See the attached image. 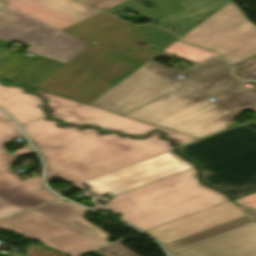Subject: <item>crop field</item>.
Here are the masks:
<instances>
[{"label": "crop field", "instance_id": "16", "mask_svg": "<svg viewBox=\"0 0 256 256\" xmlns=\"http://www.w3.org/2000/svg\"><path fill=\"white\" fill-rule=\"evenodd\" d=\"M65 201L58 200L29 212L64 227L98 245L104 246L110 243L108 241L109 235L85 220L84 214L89 210Z\"/></svg>", "mask_w": 256, "mask_h": 256}, {"label": "crop field", "instance_id": "10", "mask_svg": "<svg viewBox=\"0 0 256 256\" xmlns=\"http://www.w3.org/2000/svg\"><path fill=\"white\" fill-rule=\"evenodd\" d=\"M191 168H194L192 163L170 152L85 183L92 187L88 190L97 194L111 192L118 195Z\"/></svg>", "mask_w": 256, "mask_h": 256}, {"label": "crop field", "instance_id": "1", "mask_svg": "<svg viewBox=\"0 0 256 256\" xmlns=\"http://www.w3.org/2000/svg\"><path fill=\"white\" fill-rule=\"evenodd\" d=\"M40 101L22 88L0 84V107L22 125L44 156L48 181L58 177L74 185L172 148L169 141L157 138L162 135L159 132L141 141L121 138L116 133L97 134V129L57 128L58 121L44 120L48 116L36 104Z\"/></svg>", "mask_w": 256, "mask_h": 256}, {"label": "crop field", "instance_id": "13", "mask_svg": "<svg viewBox=\"0 0 256 256\" xmlns=\"http://www.w3.org/2000/svg\"><path fill=\"white\" fill-rule=\"evenodd\" d=\"M243 216L246 214L241 208L229 201L146 232L161 242L170 244Z\"/></svg>", "mask_w": 256, "mask_h": 256}, {"label": "crop field", "instance_id": "20", "mask_svg": "<svg viewBox=\"0 0 256 256\" xmlns=\"http://www.w3.org/2000/svg\"><path fill=\"white\" fill-rule=\"evenodd\" d=\"M151 3L155 4L157 8L147 9L140 4H135L132 6L131 10L151 19L156 22L160 17L167 16L170 13L183 9L175 0H149Z\"/></svg>", "mask_w": 256, "mask_h": 256}, {"label": "crop field", "instance_id": "21", "mask_svg": "<svg viewBox=\"0 0 256 256\" xmlns=\"http://www.w3.org/2000/svg\"><path fill=\"white\" fill-rule=\"evenodd\" d=\"M164 52H167L169 54H176L179 57H183L196 62L206 60L216 55L213 52L205 51L179 41L175 42L173 45L167 48Z\"/></svg>", "mask_w": 256, "mask_h": 256}, {"label": "crop field", "instance_id": "33", "mask_svg": "<svg viewBox=\"0 0 256 256\" xmlns=\"http://www.w3.org/2000/svg\"><path fill=\"white\" fill-rule=\"evenodd\" d=\"M236 125H239V123L235 121L230 127L236 126Z\"/></svg>", "mask_w": 256, "mask_h": 256}, {"label": "crop field", "instance_id": "35", "mask_svg": "<svg viewBox=\"0 0 256 256\" xmlns=\"http://www.w3.org/2000/svg\"><path fill=\"white\" fill-rule=\"evenodd\" d=\"M14 156V155H13ZM15 157V156H14ZM17 158V157H16Z\"/></svg>", "mask_w": 256, "mask_h": 256}, {"label": "crop field", "instance_id": "5", "mask_svg": "<svg viewBox=\"0 0 256 256\" xmlns=\"http://www.w3.org/2000/svg\"><path fill=\"white\" fill-rule=\"evenodd\" d=\"M201 165L203 180L236 198L256 191V129L247 125L179 149Z\"/></svg>", "mask_w": 256, "mask_h": 256}, {"label": "crop field", "instance_id": "4", "mask_svg": "<svg viewBox=\"0 0 256 256\" xmlns=\"http://www.w3.org/2000/svg\"><path fill=\"white\" fill-rule=\"evenodd\" d=\"M229 201L226 195L198 182L196 168L118 195L96 210L120 213L146 231Z\"/></svg>", "mask_w": 256, "mask_h": 256}, {"label": "crop field", "instance_id": "2", "mask_svg": "<svg viewBox=\"0 0 256 256\" xmlns=\"http://www.w3.org/2000/svg\"><path fill=\"white\" fill-rule=\"evenodd\" d=\"M61 31L90 45L36 89L86 105L178 40L104 13ZM142 41L149 46L135 45Z\"/></svg>", "mask_w": 256, "mask_h": 256}, {"label": "crop field", "instance_id": "30", "mask_svg": "<svg viewBox=\"0 0 256 256\" xmlns=\"http://www.w3.org/2000/svg\"><path fill=\"white\" fill-rule=\"evenodd\" d=\"M85 205L89 206V207H92V206H95L96 204L92 201H89L87 203H84Z\"/></svg>", "mask_w": 256, "mask_h": 256}, {"label": "crop field", "instance_id": "24", "mask_svg": "<svg viewBox=\"0 0 256 256\" xmlns=\"http://www.w3.org/2000/svg\"><path fill=\"white\" fill-rule=\"evenodd\" d=\"M77 1H79L80 3L90 8H93L99 11H105L127 0H77Z\"/></svg>", "mask_w": 256, "mask_h": 256}, {"label": "crop field", "instance_id": "6", "mask_svg": "<svg viewBox=\"0 0 256 256\" xmlns=\"http://www.w3.org/2000/svg\"><path fill=\"white\" fill-rule=\"evenodd\" d=\"M159 55L169 59L175 57L164 52ZM158 56L111 88L89 106L122 115L172 91L229 67L224 60L217 56L190 68L183 73V75H185L183 78L175 80L174 78L179 76L184 70L178 68L168 69L153 62ZM192 63L196 64V62Z\"/></svg>", "mask_w": 256, "mask_h": 256}, {"label": "crop field", "instance_id": "15", "mask_svg": "<svg viewBox=\"0 0 256 256\" xmlns=\"http://www.w3.org/2000/svg\"><path fill=\"white\" fill-rule=\"evenodd\" d=\"M0 40V77L36 88L64 63L35 55L33 57L3 49Z\"/></svg>", "mask_w": 256, "mask_h": 256}, {"label": "crop field", "instance_id": "7", "mask_svg": "<svg viewBox=\"0 0 256 256\" xmlns=\"http://www.w3.org/2000/svg\"><path fill=\"white\" fill-rule=\"evenodd\" d=\"M181 39L219 53L231 65L256 54V26L234 1Z\"/></svg>", "mask_w": 256, "mask_h": 256}, {"label": "crop field", "instance_id": "11", "mask_svg": "<svg viewBox=\"0 0 256 256\" xmlns=\"http://www.w3.org/2000/svg\"><path fill=\"white\" fill-rule=\"evenodd\" d=\"M0 228L22 234L71 256L101 246L29 212L1 221Z\"/></svg>", "mask_w": 256, "mask_h": 256}, {"label": "crop field", "instance_id": "14", "mask_svg": "<svg viewBox=\"0 0 256 256\" xmlns=\"http://www.w3.org/2000/svg\"><path fill=\"white\" fill-rule=\"evenodd\" d=\"M3 3L58 30L100 13L72 0H3Z\"/></svg>", "mask_w": 256, "mask_h": 256}, {"label": "crop field", "instance_id": "23", "mask_svg": "<svg viewBox=\"0 0 256 256\" xmlns=\"http://www.w3.org/2000/svg\"><path fill=\"white\" fill-rule=\"evenodd\" d=\"M8 164H0V189L21 182V180L10 171Z\"/></svg>", "mask_w": 256, "mask_h": 256}, {"label": "crop field", "instance_id": "25", "mask_svg": "<svg viewBox=\"0 0 256 256\" xmlns=\"http://www.w3.org/2000/svg\"><path fill=\"white\" fill-rule=\"evenodd\" d=\"M24 211L0 199V219Z\"/></svg>", "mask_w": 256, "mask_h": 256}, {"label": "crop field", "instance_id": "8", "mask_svg": "<svg viewBox=\"0 0 256 256\" xmlns=\"http://www.w3.org/2000/svg\"><path fill=\"white\" fill-rule=\"evenodd\" d=\"M0 38L33 45L27 50L68 62L88 44L8 8L0 12Z\"/></svg>", "mask_w": 256, "mask_h": 256}, {"label": "crop field", "instance_id": "32", "mask_svg": "<svg viewBox=\"0 0 256 256\" xmlns=\"http://www.w3.org/2000/svg\"><path fill=\"white\" fill-rule=\"evenodd\" d=\"M5 7V5L2 3V1H0V11L3 10Z\"/></svg>", "mask_w": 256, "mask_h": 256}, {"label": "crop field", "instance_id": "29", "mask_svg": "<svg viewBox=\"0 0 256 256\" xmlns=\"http://www.w3.org/2000/svg\"><path fill=\"white\" fill-rule=\"evenodd\" d=\"M7 119L9 118L0 111V120H7Z\"/></svg>", "mask_w": 256, "mask_h": 256}, {"label": "crop field", "instance_id": "19", "mask_svg": "<svg viewBox=\"0 0 256 256\" xmlns=\"http://www.w3.org/2000/svg\"><path fill=\"white\" fill-rule=\"evenodd\" d=\"M250 222H253V220L250 219L248 216H246V217H243V218H241V219L232 221V222H230V223L221 225V226H219V227L210 229V230H208V231H205V232L196 234V235H194V236L185 238V239H183V240L177 241V242H175V243H172V244H170V245H167L166 247H167V249L169 250V252H171V251H173V250L179 249V248H181V247H184V246H187V245H189V244L195 243V242H197V241L203 240V239H205V238L214 236V235H216V234H219V233L228 231V230H230V229H233V228H236V227L245 225V224L250 223Z\"/></svg>", "mask_w": 256, "mask_h": 256}, {"label": "crop field", "instance_id": "17", "mask_svg": "<svg viewBox=\"0 0 256 256\" xmlns=\"http://www.w3.org/2000/svg\"><path fill=\"white\" fill-rule=\"evenodd\" d=\"M230 1L232 0H184L179 2L184 10L174 12L157 22L167 25L164 29L171 26L181 29L175 32L166 30L182 37Z\"/></svg>", "mask_w": 256, "mask_h": 256}, {"label": "crop field", "instance_id": "3", "mask_svg": "<svg viewBox=\"0 0 256 256\" xmlns=\"http://www.w3.org/2000/svg\"><path fill=\"white\" fill-rule=\"evenodd\" d=\"M235 75L256 79V55L235 65ZM232 68L213 74L172 92L123 116L149 123L197 139L228 128L236 116L256 102V86H241L246 81L231 74Z\"/></svg>", "mask_w": 256, "mask_h": 256}, {"label": "crop field", "instance_id": "18", "mask_svg": "<svg viewBox=\"0 0 256 256\" xmlns=\"http://www.w3.org/2000/svg\"><path fill=\"white\" fill-rule=\"evenodd\" d=\"M0 198L24 210L58 199L42 186L41 177L0 190Z\"/></svg>", "mask_w": 256, "mask_h": 256}, {"label": "crop field", "instance_id": "34", "mask_svg": "<svg viewBox=\"0 0 256 256\" xmlns=\"http://www.w3.org/2000/svg\"><path fill=\"white\" fill-rule=\"evenodd\" d=\"M177 2H179V1H182V0H176Z\"/></svg>", "mask_w": 256, "mask_h": 256}, {"label": "crop field", "instance_id": "27", "mask_svg": "<svg viewBox=\"0 0 256 256\" xmlns=\"http://www.w3.org/2000/svg\"><path fill=\"white\" fill-rule=\"evenodd\" d=\"M135 1H136V0H129V1H127V2H125V3H123V4H121V5L116 6V7L112 8V9H109V10H107V11H105V12L114 14V13H116V12H118V11H123V10L126 9L128 6H130L132 3H134Z\"/></svg>", "mask_w": 256, "mask_h": 256}, {"label": "crop field", "instance_id": "22", "mask_svg": "<svg viewBox=\"0 0 256 256\" xmlns=\"http://www.w3.org/2000/svg\"><path fill=\"white\" fill-rule=\"evenodd\" d=\"M15 137H23L12 120L0 121V163L14 161V157L3 148V143L11 141Z\"/></svg>", "mask_w": 256, "mask_h": 256}, {"label": "crop field", "instance_id": "26", "mask_svg": "<svg viewBox=\"0 0 256 256\" xmlns=\"http://www.w3.org/2000/svg\"><path fill=\"white\" fill-rule=\"evenodd\" d=\"M244 206L256 209V192L235 200Z\"/></svg>", "mask_w": 256, "mask_h": 256}, {"label": "crop field", "instance_id": "9", "mask_svg": "<svg viewBox=\"0 0 256 256\" xmlns=\"http://www.w3.org/2000/svg\"><path fill=\"white\" fill-rule=\"evenodd\" d=\"M36 93L42 95L43 98L48 100L46 103L49 105L48 109L55 110V112L48 114L52 115L54 118L62 119L69 123L80 126L92 124L94 126H100L102 129L116 130L141 138L145 137L150 131L158 129L165 132L167 134L165 138L173 140L177 146L197 140L47 93L40 91Z\"/></svg>", "mask_w": 256, "mask_h": 256}, {"label": "crop field", "instance_id": "31", "mask_svg": "<svg viewBox=\"0 0 256 256\" xmlns=\"http://www.w3.org/2000/svg\"><path fill=\"white\" fill-rule=\"evenodd\" d=\"M248 110L256 113V103L254 105H252Z\"/></svg>", "mask_w": 256, "mask_h": 256}, {"label": "crop field", "instance_id": "28", "mask_svg": "<svg viewBox=\"0 0 256 256\" xmlns=\"http://www.w3.org/2000/svg\"><path fill=\"white\" fill-rule=\"evenodd\" d=\"M27 147L21 150H18L12 154H14L17 157H21L23 155H29V154H33L34 152L32 151V149L30 148L29 144H25Z\"/></svg>", "mask_w": 256, "mask_h": 256}, {"label": "crop field", "instance_id": "12", "mask_svg": "<svg viewBox=\"0 0 256 256\" xmlns=\"http://www.w3.org/2000/svg\"><path fill=\"white\" fill-rule=\"evenodd\" d=\"M240 207L255 222L173 251L171 255L256 256V210Z\"/></svg>", "mask_w": 256, "mask_h": 256}]
</instances>
